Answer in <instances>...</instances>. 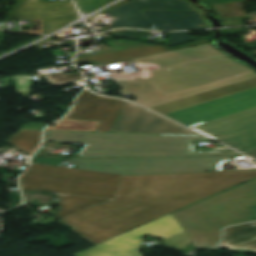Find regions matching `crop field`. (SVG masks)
Segmentation results:
<instances>
[{
    "label": "crop field",
    "instance_id": "30",
    "mask_svg": "<svg viewBox=\"0 0 256 256\" xmlns=\"http://www.w3.org/2000/svg\"><path fill=\"white\" fill-rule=\"evenodd\" d=\"M45 126L46 125H43V124H29V125L23 126L22 128H25V129H44Z\"/></svg>",
    "mask_w": 256,
    "mask_h": 256
},
{
    "label": "crop field",
    "instance_id": "1",
    "mask_svg": "<svg viewBox=\"0 0 256 256\" xmlns=\"http://www.w3.org/2000/svg\"><path fill=\"white\" fill-rule=\"evenodd\" d=\"M256 177V171L123 176L115 199L60 223L96 245Z\"/></svg>",
    "mask_w": 256,
    "mask_h": 256
},
{
    "label": "crop field",
    "instance_id": "27",
    "mask_svg": "<svg viewBox=\"0 0 256 256\" xmlns=\"http://www.w3.org/2000/svg\"><path fill=\"white\" fill-rule=\"evenodd\" d=\"M64 160L65 158L60 157H32L31 162L62 166Z\"/></svg>",
    "mask_w": 256,
    "mask_h": 256
},
{
    "label": "crop field",
    "instance_id": "9",
    "mask_svg": "<svg viewBox=\"0 0 256 256\" xmlns=\"http://www.w3.org/2000/svg\"><path fill=\"white\" fill-rule=\"evenodd\" d=\"M112 132L197 135L126 101Z\"/></svg>",
    "mask_w": 256,
    "mask_h": 256
},
{
    "label": "crop field",
    "instance_id": "24",
    "mask_svg": "<svg viewBox=\"0 0 256 256\" xmlns=\"http://www.w3.org/2000/svg\"><path fill=\"white\" fill-rule=\"evenodd\" d=\"M12 79L19 94L24 95V97L31 95L30 88L32 86L33 80L30 75L13 76Z\"/></svg>",
    "mask_w": 256,
    "mask_h": 256
},
{
    "label": "crop field",
    "instance_id": "26",
    "mask_svg": "<svg viewBox=\"0 0 256 256\" xmlns=\"http://www.w3.org/2000/svg\"><path fill=\"white\" fill-rule=\"evenodd\" d=\"M91 205H77V206H59L57 213L54 215L61 219H64L78 211H81Z\"/></svg>",
    "mask_w": 256,
    "mask_h": 256
},
{
    "label": "crop field",
    "instance_id": "14",
    "mask_svg": "<svg viewBox=\"0 0 256 256\" xmlns=\"http://www.w3.org/2000/svg\"><path fill=\"white\" fill-rule=\"evenodd\" d=\"M196 41V40H195ZM210 40H198L194 42L192 45L178 47V48H167L162 47L158 45H151V46H145L140 48H134V49H128L123 51H117L112 53H106V54H100L95 56H89L84 58H78L75 59V63L77 62H85L90 64H97V65H105L109 63L119 62V61H125V60H132L136 58H141L149 55H154L162 52H167L175 49H180L184 47H189L197 44H202L209 42Z\"/></svg>",
    "mask_w": 256,
    "mask_h": 256
},
{
    "label": "crop field",
    "instance_id": "2",
    "mask_svg": "<svg viewBox=\"0 0 256 256\" xmlns=\"http://www.w3.org/2000/svg\"><path fill=\"white\" fill-rule=\"evenodd\" d=\"M45 140L86 144L79 153L86 158L241 155L235 151L193 152L192 141L209 140L203 136L46 131Z\"/></svg>",
    "mask_w": 256,
    "mask_h": 256
},
{
    "label": "crop field",
    "instance_id": "6",
    "mask_svg": "<svg viewBox=\"0 0 256 256\" xmlns=\"http://www.w3.org/2000/svg\"><path fill=\"white\" fill-rule=\"evenodd\" d=\"M163 239V244L182 251L191 242L171 214L104 241L73 256H142L138 252L145 236Z\"/></svg>",
    "mask_w": 256,
    "mask_h": 256
},
{
    "label": "crop field",
    "instance_id": "33",
    "mask_svg": "<svg viewBox=\"0 0 256 256\" xmlns=\"http://www.w3.org/2000/svg\"><path fill=\"white\" fill-rule=\"evenodd\" d=\"M246 154H248V155H250V156L256 158V149L253 150V151H250V152H248V153H246Z\"/></svg>",
    "mask_w": 256,
    "mask_h": 256
},
{
    "label": "crop field",
    "instance_id": "3",
    "mask_svg": "<svg viewBox=\"0 0 256 256\" xmlns=\"http://www.w3.org/2000/svg\"><path fill=\"white\" fill-rule=\"evenodd\" d=\"M197 249L220 241L224 226L256 220V178L172 213Z\"/></svg>",
    "mask_w": 256,
    "mask_h": 256
},
{
    "label": "crop field",
    "instance_id": "11",
    "mask_svg": "<svg viewBox=\"0 0 256 256\" xmlns=\"http://www.w3.org/2000/svg\"><path fill=\"white\" fill-rule=\"evenodd\" d=\"M141 9L195 10L191 5L182 0H132L112 10L105 11V13L119 18L109 23L113 28L135 27L151 29L148 21L140 13Z\"/></svg>",
    "mask_w": 256,
    "mask_h": 256
},
{
    "label": "crop field",
    "instance_id": "23",
    "mask_svg": "<svg viewBox=\"0 0 256 256\" xmlns=\"http://www.w3.org/2000/svg\"><path fill=\"white\" fill-rule=\"evenodd\" d=\"M47 80L54 86H61L73 81H77L82 78V74L79 72L66 75L65 72L50 74L45 76Z\"/></svg>",
    "mask_w": 256,
    "mask_h": 256
},
{
    "label": "crop field",
    "instance_id": "15",
    "mask_svg": "<svg viewBox=\"0 0 256 256\" xmlns=\"http://www.w3.org/2000/svg\"><path fill=\"white\" fill-rule=\"evenodd\" d=\"M44 34L77 19L72 2L41 3Z\"/></svg>",
    "mask_w": 256,
    "mask_h": 256
},
{
    "label": "crop field",
    "instance_id": "18",
    "mask_svg": "<svg viewBox=\"0 0 256 256\" xmlns=\"http://www.w3.org/2000/svg\"><path fill=\"white\" fill-rule=\"evenodd\" d=\"M8 19H42L40 0H17L15 8L7 13Z\"/></svg>",
    "mask_w": 256,
    "mask_h": 256
},
{
    "label": "crop field",
    "instance_id": "4",
    "mask_svg": "<svg viewBox=\"0 0 256 256\" xmlns=\"http://www.w3.org/2000/svg\"><path fill=\"white\" fill-rule=\"evenodd\" d=\"M122 176L32 163L20 177L23 190L114 199Z\"/></svg>",
    "mask_w": 256,
    "mask_h": 256
},
{
    "label": "crop field",
    "instance_id": "25",
    "mask_svg": "<svg viewBox=\"0 0 256 256\" xmlns=\"http://www.w3.org/2000/svg\"><path fill=\"white\" fill-rule=\"evenodd\" d=\"M79 9L84 13H89L92 10L100 7L106 0H75Z\"/></svg>",
    "mask_w": 256,
    "mask_h": 256
},
{
    "label": "crop field",
    "instance_id": "22",
    "mask_svg": "<svg viewBox=\"0 0 256 256\" xmlns=\"http://www.w3.org/2000/svg\"><path fill=\"white\" fill-rule=\"evenodd\" d=\"M58 201H59V205H76V204H103L111 200L59 194Z\"/></svg>",
    "mask_w": 256,
    "mask_h": 256
},
{
    "label": "crop field",
    "instance_id": "19",
    "mask_svg": "<svg viewBox=\"0 0 256 256\" xmlns=\"http://www.w3.org/2000/svg\"><path fill=\"white\" fill-rule=\"evenodd\" d=\"M42 131H20L8 140L18 149L31 154L40 144Z\"/></svg>",
    "mask_w": 256,
    "mask_h": 256
},
{
    "label": "crop field",
    "instance_id": "17",
    "mask_svg": "<svg viewBox=\"0 0 256 256\" xmlns=\"http://www.w3.org/2000/svg\"><path fill=\"white\" fill-rule=\"evenodd\" d=\"M112 80L120 85L124 90L119 91L121 95L131 94L140 103L156 98H160L155 91L147 86L134 74L131 75H110Z\"/></svg>",
    "mask_w": 256,
    "mask_h": 256
},
{
    "label": "crop field",
    "instance_id": "20",
    "mask_svg": "<svg viewBox=\"0 0 256 256\" xmlns=\"http://www.w3.org/2000/svg\"><path fill=\"white\" fill-rule=\"evenodd\" d=\"M100 121H76L63 119L47 130L95 131Z\"/></svg>",
    "mask_w": 256,
    "mask_h": 256
},
{
    "label": "crop field",
    "instance_id": "13",
    "mask_svg": "<svg viewBox=\"0 0 256 256\" xmlns=\"http://www.w3.org/2000/svg\"><path fill=\"white\" fill-rule=\"evenodd\" d=\"M255 87H256V78L252 79V80L244 81V82H241V83H237V84H234V85H230V86H227V87H223V88H220V89H216V90H213V91H209V92H206V93H202V94H199V95H195V96H192V97H188V98H185V99H181V100H178V101H174V102H171V103H167V104H164V105H160V106L150 108V109H152L154 111H157L161 114H164V113H168V112L175 111V110H178V109H182V108H185V107H189V106H192V105H196V104H199V103H203V102H206V101H210V100H213V99H217V98H220V97H223V96H227V95H230V94H234V93H237V92H241V91H244V90L255 88Z\"/></svg>",
    "mask_w": 256,
    "mask_h": 256
},
{
    "label": "crop field",
    "instance_id": "16",
    "mask_svg": "<svg viewBox=\"0 0 256 256\" xmlns=\"http://www.w3.org/2000/svg\"><path fill=\"white\" fill-rule=\"evenodd\" d=\"M225 246L231 251L247 247L256 250V222L225 229L223 242L212 250Z\"/></svg>",
    "mask_w": 256,
    "mask_h": 256
},
{
    "label": "crop field",
    "instance_id": "21",
    "mask_svg": "<svg viewBox=\"0 0 256 256\" xmlns=\"http://www.w3.org/2000/svg\"><path fill=\"white\" fill-rule=\"evenodd\" d=\"M245 1L230 2L225 4L214 5L220 18L245 16L243 7Z\"/></svg>",
    "mask_w": 256,
    "mask_h": 256
},
{
    "label": "crop field",
    "instance_id": "10",
    "mask_svg": "<svg viewBox=\"0 0 256 256\" xmlns=\"http://www.w3.org/2000/svg\"><path fill=\"white\" fill-rule=\"evenodd\" d=\"M123 102L98 96L85 90L80 94L72 112L66 118L100 120L96 131L111 132Z\"/></svg>",
    "mask_w": 256,
    "mask_h": 256
},
{
    "label": "crop field",
    "instance_id": "28",
    "mask_svg": "<svg viewBox=\"0 0 256 256\" xmlns=\"http://www.w3.org/2000/svg\"><path fill=\"white\" fill-rule=\"evenodd\" d=\"M168 34L173 45L180 42L191 40L188 32H174Z\"/></svg>",
    "mask_w": 256,
    "mask_h": 256
},
{
    "label": "crop field",
    "instance_id": "7",
    "mask_svg": "<svg viewBox=\"0 0 256 256\" xmlns=\"http://www.w3.org/2000/svg\"><path fill=\"white\" fill-rule=\"evenodd\" d=\"M191 128L243 153L256 148V108Z\"/></svg>",
    "mask_w": 256,
    "mask_h": 256
},
{
    "label": "crop field",
    "instance_id": "29",
    "mask_svg": "<svg viewBox=\"0 0 256 256\" xmlns=\"http://www.w3.org/2000/svg\"><path fill=\"white\" fill-rule=\"evenodd\" d=\"M141 105L150 108V107H154L160 104H164L162 101L156 99V100H152V101H148V102H144V103H140Z\"/></svg>",
    "mask_w": 256,
    "mask_h": 256
},
{
    "label": "crop field",
    "instance_id": "32",
    "mask_svg": "<svg viewBox=\"0 0 256 256\" xmlns=\"http://www.w3.org/2000/svg\"><path fill=\"white\" fill-rule=\"evenodd\" d=\"M238 252H247V253H254L256 254V251L255 250H252V249H243V250H237Z\"/></svg>",
    "mask_w": 256,
    "mask_h": 256
},
{
    "label": "crop field",
    "instance_id": "5",
    "mask_svg": "<svg viewBox=\"0 0 256 256\" xmlns=\"http://www.w3.org/2000/svg\"><path fill=\"white\" fill-rule=\"evenodd\" d=\"M223 157L167 159H83L72 158L68 163L80 169L120 174H155L215 171Z\"/></svg>",
    "mask_w": 256,
    "mask_h": 256
},
{
    "label": "crop field",
    "instance_id": "31",
    "mask_svg": "<svg viewBox=\"0 0 256 256\" xmlns=\"http://www.w3.org/2000/svg\"><path fill=\"white\" fill-rule=\"evenodd\" d=\"M205 1L211 5H214V4L225 3L230 1H239V0H205Z\"/></svg>",
    "mask_w": 256,
    "mask_h": 256
},
{
    "label": "crop field",
    "instance_id": "12",
    "mask_svg": "<svg viewBox=\"0 0 256 256\" xmlns=\"http://www.w3.org/2000/svg\"><path fill=\"white\" fill-rule=\"evenodd\" d=\"M143 13L158 30H182L208 27L200 12L147 10Z\"/></svg>",
    "mask_w": 256,
    "mask_h": 256
},
{
    "label": "crop field",
    "instance_id": "8",
    "mask_svg": "<svg viewBox=\"0 0 256 256\" xmlns=\"http://www.w3.org/2000/svg\"><path fill=\"white\" fill-rule=\"evenodd\" d=\"M253 107H256V88L165 115L191 127Z\"/></svg>",
    "mask_w": 256,
    "mask_h": 256
}]
</instances>
